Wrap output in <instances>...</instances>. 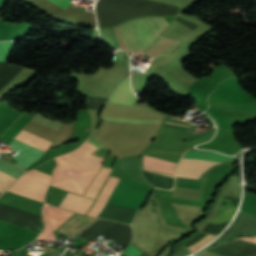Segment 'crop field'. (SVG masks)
I'll use <instances>...</instances> for the list:
<instances>
[{
	"label": "crop field",
	"instance_id": "17",
	"mask_svg": "<svg viewBox=\"0 0 256 256\" xmlns=\"http://www.w3.org/2000/svg\"><path fill=\"white\" fill-rule=\"evenodd\" d=\"M53 3L66 9L67 5L70 3V0H50Z\"/></svg>",
	"mask_w": 256,
	"mask_h": 256
},
{
	"label": "crop field",
	"instance_id": "12",
	"mask_svg": "<svg viewBox=\"0 0 256 256\" xmlns=\"http://www.w3.org/2000/svg\"><path fill=\"white\" fill-rule=\"evenodd\" d=\"M15 139L26 143L30 146H33L37 149H40L44 152H46V150L49 148V146L51 145V142L46 141L42 138H39L37 136H34L24 130H22L16 137Z\"/></svg>",
	"mask_w": 256,
	"mask_h": 256
},
{
	"label": "crop field",
	"instance_id": "2",
	"mask_svg": "<svg viewBox=\"0 0 256 256\" xmlns=\"http://www.w3.org/2000/svg\"><path fill=\"white\" fill-rule=\"evenodd\" d=\"M56 161L58 166L53 171L51 186L82 195L97 170L62 156L57 157Z\"/></svg>",
	"mask_w": 256,
	"mask_h": 256
},
{
	"label": "crop field",
	"instance_id": "11",
	"mask_svg": "<svg viewBox=\"0 0 256 256\" xmlns=\"http://www.w3.org/2000/svg\"><path fill=\"white\" fill-rule=\"evenodd\" d=\"M177 42V40L159 36V38L152 45V47L146 50L144 54L152 56L154 58L160 57L170 52L172 48L177 44Z\"/></svg>",
	"mask_w": 256,
	"mask_h": 256
},
{
	"label": "crop field",
	"instance_id": "7",
	"mask_svg": "<svg viewBox=\"0 0 256 256\" xmlns=\"http://www.w3.org/2000/svg\"><path fill=\"white\" fill-rule=\"evenodd\" d=\"M42 214L45 223V228L42 233L53 234L52 232L66 221L73 212L45 203L42 208Z\"/></svg>",
	"mask_w": 256,
	"mask_h": 256
},
{
	"label": "crop field",
	"instance_id": "3",
	"mask_svg": "<svg viewBox=\"0 0 256 256\" xmlns=\"http://www.w3.org/2000/svg\"><path fill=\"white\" fill-rule=\"evenodd\" d=\"M186 157L202 158L214 161L224 162L232 159V157L223 156L214 152L189 150L185 153ZM182 157L178 167L177 176L198 179L200 174L208 167L220 163L202 159Z\"/></svg>",
	"mask_w": 256,
	"mask_h": 256
},
{
	"label": "crop field",
	"instance_id": "5",
	"mask_svg": "<svg viewBox=\"0 0 256 256\" xmlns=\"http://www.w3.org/2000/svg\"><path fill=\"white\" fill-rule=\"evenodd\" d=\"M135 99H136V96L133 95L130 84H129V78H127L118 86V88L115 90L112 98L109 100L108 103L133 105ZM100 117L101 119H105V120L130 122V123H160L161 122V120L124 119V118H116V117L104 116V115H101Z\"/></svg>",
	"mask_w": 256,
	"mask_h": 256
},
{
	"label": "crop field",
	"instance_id": "6",
	"mask_svg": "<svg viewBox=\"0 0 256 256\" xmlns=\"http://www.w3.org/2000/svg\"><path fill=\"white\" fill-rule=\"evenodd\" d=\"M87 141L96 148L99 147L100 145H102L92 137H90ZM87 141L79 149L90 153L93 150H95L96 148H94L92 145H90ZM79 149L72 151L66 155H62V156L72 159L74 161H77L79 163L91 166L98 170L103 162V158L88 154Z\"/></svg>",
	"mask_w": 256,
	"mask_h": 256
},
{
	"label": "crop field",
	"instance_id": "8",
	"mask_svg": "<svg viewBox=\"0 0 256 256\" xmlns=\"http://www.w3.org/2000/svg\"><path fill=\"white\" fill-rule=\"evenodd\" d=\"M93 200L68 192L60 207L85 214Z\"/></svg>",
	"mask_w": 256,
	"mask_h": 256
},
{
	"label": "crop field",
	"instance_id": "15",
	"mask_svg": "<svg viewBox=\"0 0 256 256\" xmlns=\"http://www.w3.org/2000/svg\"><path fill=\"white\" fill-rule=\"evenodd\" d=\"M141 252L142 251L138 250L137 248H135L133 245L130 244L128 249L121 254L125 256H138Z\"/></svg>",
	"mask_w": 256,
	"mask_h": 256
},
{
	"label": "crop field",
	"instance_id": "1",
	"mask_svg": "<svg viewBox=\"0 0 256 256\" xmlns=\"http://www.w3.org/2000/svg\"><path fill=\"white\" fill-rule=\"evenodd\" d=\"M167 24L163 17H144L115 26L120 49L136 54L143 52Z\"/></svg>",
	"mask_w": 256,
	"mask_h": 256
},
{
	"label": "crop field",
	"instance_id": "4",
	"mask_svg": "<svg viewBox=\"0 0 256 256\" xmlns=\"http://www.w3.org/2000/svg\"><path fill=\"white\" fill-rule=\"evenodd\" d=\"M50 178V175L32 169L23 174L10 188L9 192L44 202L45 191Z\"/></svg>",
	"mask_w": 256,
	"mask_h": 256
},
{
	"label": "crop field",
	"instance_id": "9",
	"mask_svg": "<svg viewBox=\"0 0 256 256\" xmlns=\"http://www.w3.org/2000/svg\"><path fill=\"white\" fill-rule=\"evenodd\" d=\"M94 219L87 218L81 215L75 214L66 223H64L57 231L71 235L76 234L91 224Z\"/></svg>",
	"mask_w": 256,
	"mask_h": 256
},
{
	"label": "crop field",
	"instance_id": "14",
	"mask_svg": "<svg viewBox=\"0 0 256 256\" xmlns=\"http://www.w3.org/2000/svg\"><path fill=\"white\" fill-rule=\"evenodd\" d=\"M15 181L16 179L0 172V194L6 191Z\"/></svg>",
	"mask_w": 256,
	"mask_h": 256
},
{
	"label": "crop field",
	"instance_id": "16",
	"mask_svg": "<svg viewBox=\"0 0 256 256\" xmlns=\"http://www.w3.org/2000/svg\"><path fill=\"white\" fill-rule=\"evenodd\" d=\"M216 235H212L210 234L208 237H206L203 241H201L199 244L190 247V250L193 251L197 248H200L202 246H204L205 244H207L210 240H212Z\"/></svg>",
	"mask_w": 256,
	"mask_h": 256
},
{
	"label": "crop field",
	"instance_id": "10",
	"mask_svg": "<svg viewBox=\"0 0 256 256\" xmlns=\"http://www.w3.org/2000/svg\"><path fill=\"white\" fill-rule=\"evenodd\" d=\"M119 180H120L119 178L110 176V178L108 179L107 183L105 184L97 202L95 203L93 208L88 213L89 216L97 217L100 214L101 210L105 206L109 196L111 195L114 187L117 185Z\"/></svg>",
	"mask_w": 256,
	"mask_h": 256
},
{
	"label": "crop field",
	"instance_id": "13",
	"mask_svg": "<svg viewBox=\"0 0 256 256\" xmlns=\"http://www.w3.org/2000/svg\"><path fill=\"white\" fill-rule=\"evenodd\" d=\"M110 170L111 169H109V168L101 167V169L99 170L97 175L94 177V179L90 183V185L85 193V196L95 198V196L99 192L100 188L102 187L104 181L106 180Z\"/></svg>",
	"mask_w": 256,
	"mask_h": 256
},
{
	"label": "crop field",
	"instance_id": "18",
	"mask_svg": "<svg viewBox=\"0 0 256 256\" xmlns=\"http://www.w3.org/2000/svg\"><path fill=\"white\" fill-rule=\"evenodd\" d=\"M170 123V122H169ZM176 124V123H175ZM182 125V124H181ZM188 126V125H187Z\"/></svg>",
	"mask_w": 256,
	"mask_h": 256
}]
</instances>
